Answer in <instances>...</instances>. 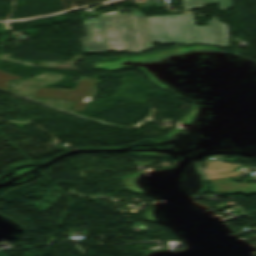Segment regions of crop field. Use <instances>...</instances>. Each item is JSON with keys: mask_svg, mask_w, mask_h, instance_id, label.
I'll use <instances>...</instances> for the list:
<instances>
[{"mask_svg": "<svg viewBox=\"0 0 256 256\" xmlns=\"http://www.w3.org/2000/svg\"><path fill=\"white\" fill-rule=\"evenodd\" d=\"M132 11L133 14L120 15L115 12L83 21L86 35V38L80 39L83 52L134 54L152 49L146 16L137 9Z\"/></svg>", "mask_w": 256, "mask_h": 256, "instance_id": "obj_1", "label": "crop field"}, {"mask_svg": "<svg viewBox=\"0 0 256 256\" xmlns=\"http://www.w3.org/2000/svg\"><path fill=\"white\" fill-rule=\"evenodd\" d=\"M153 42L161 44H202L226 46L224 26L220 24L222 45L217 23L209 21V27H194L192 14L147 17Z\"/></svg>", "mask_w": 256, "mask_h": 256, "instance_id": "obj_2", "label": "crop field"}, {"mask_svg": "<svg viewBox=\"0 0 256 256\" xmlns=\"http://www.w3.org/2000/svg\"><path fill=\"white\" fill-rule=\"evenodd\" d=\"M99 80L81 78L75 90H58L41 88L36 90L35 97L71 100L76 102L71 110L84 111L88 102H91L97 92L95 90Z\"/></svg>", "mask_w": 256, "mask_h": 256, "instance_id": "obj_3", "label": "crop field"}, {"mask_svg": "<svg viewBox=\"0 0 256 256\" xmlns=\"http://www.w3.org/2000/svg\"><path fill=\"white\" fill-rule=\"evenodd\" d=\"M219 4L220 9L232 8L231 0H183L185 9L204 8L205 5Z\"/></svg>", "mask_w": 256, "mask_h": 256, "instance_id": "obj_4", "label": "crop field"}, {"mask_svg": "<svg viewBox=\"0 0 256 256\" xmlns=\"http://www.w3.org/2000/svg\"><path fill=\"white\" fill-rule=\"evenodd\" d=\"M10 79H20L19 77L0 72V90L8 92L9 87L6 86Z\"/></svg>", "mask_w": 256, "mask_h": 256, "instance_id": "obj_5", "label": "crop field"}]
</instances>
